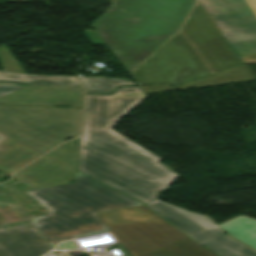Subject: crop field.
Returning a JSON list of instances; mask_svg holds the SVG:
<instances>
[{
  "mask_svg": "<svg viewBox=\"0 0 256 256\" xmlns=\"http://www.w3.org/2000/svg\"><path fill=\"white\" fill-rule=\"evenodd\" d=\"M45 256H57V255L55 254V252H50V253H48V254L45 255Z\"/></svg>",
  "mask_w": 256,
  "mask_h": 256,
  "instance_id": "a9b5d70f",
  "label": "crop field"
},
{
  "mask_svg": "<svg viewBox=\"0 0 256 256\" xmlns=\"http://www.w3.org/2000/svg\"><path fill=\"white\" fill-rule=\"evenodd\" d=\"M249 80H254V77L252 76V74L250 73L246 65H243V66L225 70L223 72H220L218 74L212 75L207 78L190 82L180 87H168V86H140V87L146 94H149V93L164 92V91H171V90H178V89L235 83V82H242V81H249Z\"/></svg>",
  "mask_w": 256,
  "mask_h": 256,
  "instance_id": "cbeb9de0",
  "label": "crop field"
},
{
  "mask_svg": "<svg viewBox=\"0 0 256 256\" xmlns=\"http://www.w3.org/2000/svg\"><path fill=\"white\" fill-rule=\"evenodd\" d=\"M24 192L47 211L30 219L52 247L75 237L109 232L97 213L141 205L77 172L75 183Z\"/></svg>",
  "mask_w": 256,
  "mask_h": 256,
  "instance_id": "412701ff",
  "label": "crop field"
},
{
  "mask_svg": "<svg viewBox=\"0 0 256 256\" xmlns=\"http://www.w3.org/2000/svg\"><path fill=\"white\" fill-rule=\"evenodd\" d=\"M230 236L256 250V221L238 217L220 226Z\"/></svg>",
  "mask_w": 256,
  "mask_h": 256,
  "instance_id": "d9b57169",
  "label": "crop field"
},
{
  "mask_svg": "<svg viewBox=\"0 0 256 256\" xmlns=\"http://www.w3.org/2000/svg\"><path fill=\"white\" fill-rule=\"evenodd\" d=\"M131 255V254H130ZM131 256H134V255H131Z\"/></svg>",
  "mask_w": 256,
  "mask_h": 256,
  "instance_id": "730fd06b",
  "label": "crop field"
},
{
  "mask_svg": "<svg viewBox=\"0 0 256 256\" xmlns=\"http://www.w3.org/2000/svg\"><path fill=\"white\" fill-rule=\"evenodd\" d=\"M81 87L27 86L0 97V104L81 107Z\"/></svg>",
  "mask_w": 256,
  "mask_h": 256,
  "instance_id": "d8731c3e",
  "label": "crop field"
},
{
  "mask_svg": "<svg viewBox=\"0 0 256 256\" xmlns=\"http://www.w3.org/2000/svg\"><path fill=\"white\" fill-rule=\"evenodd\" d=\"M37 233L35 229L0 232V256L43 255L50 250V247Z\"/></svg>",
  "mask_w": 256,
  "mask_h": 256,
  "instance_id": "28ad6ade",
  "label": "crop field"
},
{
  "mask_svg": "<svg viewBox=\"0 0 256 256\" xmlns=\"http://www.w3.org/2000/svg\"><path fill=\"white\" fill-rule=\"evenodd\" d=\"M241 60L246 63L256 62V54L247 55V56H241Z\"/></svg>",
  "mask_w": 256,
  "mask_h": 256,
  "instance_id": "dafd665d",
  "label": "crop field"
},
{
  "mask_svg": "<svg viewBox=\"0 0 256 256\" xmlns=\"http://www.w3.org/2000/svg\"><path fill=\"white\" fill-rule=\"evenodd\" d=\"M13 176L40 188L69 183L75 179V171L44 156Z\"/></svg>",
  "mask_w": 256,
  "mask_h": 256,
  "instance_id": "5a996713",
  "label": "crop field"
},
{
  "mask_svg": "<svg viewBox=\"0 0 256 256\" xmlns=\"http://www.w3.org/2000/svg\"><path fill=\"white\" fill-rule=\"evenodd\" d=\"M191 238L220 256H256L255 252L232 240L217 227L200 232Z\"/></svg>",
  "mask_w": 256,
  "mask_h": 256,
  "instance_id": "22f410ed",
  "label": "crop field"
},
{
  "mask_svg": "<svg viewBox=\"0 0 256 256\" xmlns=\"http://www.w3.org/2000/svg\"><path fill=\"white\" fill-rule=\"evenodd\" d=\"M11 1L18 2V1H23V0H11Z\"/></svg>",
  "mask_w": 256,
  "mask_h": 256,
  "instance_id": "4177f3b9",
  "label": "crop field"
},
{
  "mask_svg": "<svg viewBox=\"0 0 256 256\" xmlns=\"http://www.w3.org/2000/svg\"><path fill=\"white\" fill-rule=\"evenodd\" d=\"M75 139L73 141H69L64 143L63 145L53 149L45 156L73 169L76 170L77 166V155L78 149L75 146Z\"/></svg>",
  "mask_w": 256,
  "mask_h": 256,
  "instance_id": "bc2a9ffb",
  "label": "crop field"
},
{
  "mask_svg": "<svg viewBox=\"0 0 256 256\" xmlns=\"http://www.w3.org/2000/svg\"><path fill=\"white\" fill-rule=\"evenodd\" d=\"M82 31L88 37V39L92 42L93 45L104 43L101 40V38L98 36V34L95 32V30L93 31L92 29H86Z\"/></svg>",
  "mask_w": 256,
  "mask_h": 256,
  "instance_id": "214f88e0",
  "label": "crop field"
},
{
  "mask_svg": "<svg viewBox=\"0 0 256 256\" xmlns=\"http://www.w3.org/2000/svg\"><path fill=\"white\" fill-rule=\"evenodd\" d=\"M147 96L139 87L112 95H85L77 170L144 203L157 198L179 177L161 160L116 133L113 125Z\"/></svg>",
  "mask_w": 256,
  "mask_h": 256,
  "instance_id": "8a807250",
  "label": "crop field"
},
{
  "mask_svg": "<svg viewBox=\"0 0 256 256\" xmlns=\"http://www.w3.org/2000/svg\"><path fill=\"white\" fill-rule=\"evenodd\" d=\"M7 138H8V137H6V136L0 134V143L3 142L4 140H6ZM0 151H3V148L1 147V145H0Z\"/></svg>",
  "mask_w": 256,
  "mask_h": 256,
  "instance_id": "00972430",
  "label": "crop field"
},
{
  "mask_svg": "<svg viewBox=\"0 0 256 256\" xmlns=\"http://www.w3.org/2000/svg\"><path fill=\"white\" fill-rule=\"evenodd\" d=\"M145 256H217L187 238Z\"/></svg>",
  "mask_w": 256,
  "mask_h": 256,
  "instance_id": "733c2abd",
  "label": "crop field"
},
{
  "mask_svg": "<svg viewBox=\"0 0 256 256\" xmlns=\"http://www.w3.org/2000/svg\"><path fill=\"white\" fill-rule=\"evenodd\" d=\"M216 26L196 2L175 33L132 71L139 85L178 86L191 79L242 65Z\"/></svg>",
  "mask_w": 256,
  "mask_h": 256,
  "instance_id": "ac0d7876",
  "label": "crop field"
},
{
  "mask_svg": "<svg viewBox=\"0 0 256 256\" xmlns=\"http://www.w3.org/2000/svg\"><path fill=\"white\" fill-rule=\"evenodd\" d=\"M238 56L256 53V0H198Z\"/></svg>",
  "mask_w": 256,
  "mask_h": 256,
  "instance_id": "e52e79f7",
  "label": "crop field"
},
{
  "mask_svg": "<svg viewBox=\"0 0 256 256\" xmlns=\"http://www.w3.org/2000/svg\"><path fill=\"white\" fill-rule=\"evenodd\" d=\"M81 109L0 105V133L43 154L79 135Z\"/></svg>",
  "mask_w": 256,
  "mask_h": 256,
  "instance_id": "f4fd0767",
  "label": "crop field"
},
{
  "mask_svg": "<svg viewBox=\"0 0 256 256\" xmlns=\"http://www.w3.org/2000/svg\"><path fill=\"white\" fill-rule=\"evenodd\" d=\"M3 189L25 214V216L31 217L35 215L46 214L45 210L34 202L23 191L27 189H33L32 186L24 183L21 180H17L8 185L3 186Z\"/></svg>",
  "mask_w": 256,
  "mask_h": 256,
  "instance_id": "5142ce71",
  "label": "crop field"
},
{
  "mask_svg": "<svg viewBox=\"0 0 256 256\" xmlns=\"http://www.w3.org/2000/svg\"><path fill=\"white\" fill-rule=\"evenodd\" d=\"M79 79L86 93L111 94L115 88L120 86H137L128 79L98 77H79Z\"/></svg>",
  "mask_w": 256,
  "mask_h": 256,
  "instance_id": "4a817a6b",
  "label": "crop field"
},
{
  "mask_svg": "<svg viewBox=\"0 0 256 256\" xmlns=\"http://www.w3.org/2000/svg\"><path fill=\"white\" fill-rule=\"evenodd\" d=\"M99 215L134 255L143 256L187 238L144 205Z\"/></svg>",
  "mask_w": 256,
  "mask_h": 256,
  "instance_id": "dd49c442",
  "label": "crop field"
},
{
  "mask_svg": "<svg viewBox=\"0 0 256 256\" xmlns=\"http://www.w3.org/2000/svg\"><path fill=\"white\" fill-rule=\"evenodd\" d=\"M24 86H9V85H0V96L15 91Z\"/></svg>",
  "mask_w": 256,
  "mask_h": 256,
  "instance_id": "92a150f3",
  "label": "crop field"
},
{
  "mask_svg": "<svg viewBox=\"0 0 256 256\" xmlns=\"http://www.w3.org/2000/svg\"><path fill=\"white\" fill-rule=\"evenodd\" d=\"M196 0H114L92 26L132 71L178 31ZM135 20L132 25L122 23Z\"/></svg>",
  "mask_w": 256,
  "mask_h": 256,
  "instance_id": "34b2d1b8",
  "label": "crop field"
},
{
  "mask_svg": "<svg viewBox=\"0 0 256 256\" xmlns=\"http://www.w3.org/2000/svg\"><path fill=\"white\" fill-rule=\"evenodd\" d=\"M146 206L189 236L215 226L203 215L174 207L160 199Z\"/></svg>",
  "mask_w": 256,
  "mask_h": 256,
  "instance_id": "d1516ede",
  "label": "crop field"
},
{
  "mask_svg": "<svg viewBox=\"0 0 256 256\" xmlns=\"http://www.w3.org/2000/svg\"><path fill=\"white\" fill-rule=\"evenodd\" d=\"M0 63L4 70L0 71V84L79 86L75 77L26 75L15 59L9 55L4 44L0 46Z\"/></svg>",
  "mask_w": 256,
  "mask_h": 256,
  "instance_id": "3316defc",
  "label": "crop field"
}]
</instances>
